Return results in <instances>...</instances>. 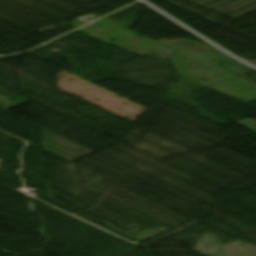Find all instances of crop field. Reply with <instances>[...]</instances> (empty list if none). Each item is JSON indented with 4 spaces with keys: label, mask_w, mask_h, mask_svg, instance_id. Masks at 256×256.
Returning a JSON list of instances; mask_svg holds the SVG:
<instances>
[{
    "label": "crop field",
    "mask_w": 256,
    "mask_h": 256,
    "mask_svg": "<svg viewBox=\"0 0 256 256\" xmlns=\"http://www.w3.org/2000/svg\"><path fill=\"white\" fill-rule=\"evenodd\" d=\"M235 123L256 132V121H254L252 119L247 118L245 120L238 121Z\"/></svg>",
    "instance_id": "1"
}]
</instances>
